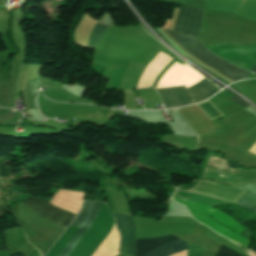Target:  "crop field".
Masks as SVG:
<instances>
[{"mask_svg":"<svg viewBox=\"0 0 256 256\" xmlns=\"http://www.w3.org/2000/svg\"><path fill=\"white\" fill-rule=\"evenodd\" d=\"M209 165L228 166L221 158L214 156ZM202 179H214L226 185L235 186L256 180V169L238 168L232 170L230 167L207 166Z\"/></svg>","mask_w":256,"mask_h":256,"instance_id":"obj_4","label":"crop field"},{"mask_svg":"<svg viewBox=\"0 0 256 256\" xmlns=\"http://www.w3.org/2000/svg\"><path fill=\"white\" fill-rule=\"evenodd\" d=\"M233 188L248 192L256 196V181L244 185L235 186ZM233 188L216 184L215 182L199 181V183L195 187L186 192H182L177 189L174 195L207 206L225 203L236 204L238 200L245 194V192ZM176 196L172 197L173 200L185 205L195 219L212 228L218 234L238 243L242 248L246 249L248 239L243 238L242 236L223 227L219 223L215 222L208 215L212 216L218 222L226 225L227 227L238 233L244 230V228L240 227L241 225L239 226L233 219L211 207L202 206L178 198ZM240 200L256 206V198L247 193ZM240 200L237 204L245 208L251 209L256 213V208L254 206L248 205Z\"/></svg>","mask_w":256,"mask_h":256,"instance_id":"obj_1","label":"crop field"},{"mask_svg":"<svg viewBox=\"0 0 256 256\" xmlns=\"http://www.w3.org/2000/svg\"><path fill=\"white\" fill-rule=\"evenodd\" d=\"M216 256H240V255L221 245Z\"/></svg>","mask_w":256,"mask_h":256,"instance_id":"obj_12","label":"crop field"},{"mask_svg":"<svg viewBox=\"0 0 256 256\" xmlns=\"http://www.w3.org/2000/svg\"><path fill=\"white\" fill-rule=\"evenodd\" d=\"M107 26L102 25L100 23H97L91 34H90V38H89V44L88 47L89 48H93L95 49L97 43L99 42L100 38L102 37L104 31L106 30Z\"/></svg>","mask_w":256,"mask_h":256,"instance_id":"obj_11","label":"crop field"},{"mask_svg":"<svg viewBox=\"0 0 256 256\" xmlns=\"http://www.w3.org/2000/svg\"><path fill=\"white\" fill-rule=\"evenodd\" d=\"M228 100L232 101L233 103L239 105L240 107H242L244 109L247 108L248 106H250V104L242 101L241 99H239V98H237L235 96L230 98V99H228Z\"/></svg>","mask_w":256,"mask_h":256,"instance_id":"obj_13","label":"crop field"},{"mask_svg":"<svg viewBox=\"0 0 256 256\" xmlns=\"http://www.w3.org/2000/svg\"><path fill=\"white\" fill-rule=\"evenodd\" d=\"M22 203L34 213L65 226L76 216L33 196L25 199Z\"/></svg>","mask_w":256,"mask_h":256,"instance_id":"obj_8","label":"crop field"},{"mask_svg":"<svg viewBox=\"0 0 256 256\" xmlns=\"http://www.w3.org/2000/svg\"><path fill=\"white\" fill-rule=\"evenodd\" d=\"M219 90L220 89L206 79L187 89L193 103L207 99ZM157 91L166 109L192 104L185 86L159 88Z\"/></svg>","mask_w":256,"mask_h":256,"instance_id":"obj_3","label":"crop field"},{"mask_svg":"<svg viewBox=\"0 0 256 256\" xmlns=\"http://www.w3.org/2000/svg\"><path fill=\"white\" fill-rule=\"evenodd\" d=\"M202 19L203 10L191 7H180L173 30L193 34L197 38Z\"/></svg>","mask_w":256,"mask_h":256,"instance_id":"obj_9","label":"crop field"},{"mask_svg":"<svg viewBox=\"0 0 256 256\" xmlns=\"http://www.w3.org/2000/svg\"><path fill=\"white\" fill-rule=\"evenodd\" d=\"M121 233L120 252L134 254L135 227L131 216L114 214ZM135 255V254H134Z\"/></svg>","mask_w":256,"mask_h":256,"instance_id":"obj_10","label":"crop field"},{"mask_svg":"<svg viewBox=\"0 0 256 256\" xmlns=\"http://www.w3.org/2000/svg\"><path fill=\"white\" fill-rule=\"evenodd\" d=\"M177 238L173 235L168 236H161L149 239H135V249H136V256H141L151 248L164 244ZM187 250V245L180 241L176 240L161 246H158L142 256H170L179 251Z\"/></svg>","mask_w":256,"mask_h":256,"instance_id":"obj_6","label":"crop field"},{"mask_svg":"<svg viewBox=\"0 0 256 256\" xmlns=\"http://www.w3.org/2000/svg\"><path fill=\"white\" fill-rule=\"evenodd\" d=\"M219 57L245 69H252L256 63V47L206 46ZM256 71V65L253 67ZM256 74V72H255Z\"/></svg>","mask_w":256,"mask_h":256,"instance_id":"obj_7","label":"crop field"},{"mask_svg":"<svg viewBox=\"0 0 256 256\" xmlns=\"http://www.w3.org/2000/svg\"><path fill=\"white\" fill-rule=\"evenodd\" d=\"M107 206L106 202L84 201L82 209L71 226L79 228L57 256H67L81 237Z\"/></svg>","mask_w":256,"mask_h":256,"instance_id":"obj_5","label":"crop field"},{"mask_svg":"<svg viewBox=\"0 0 256 256\" xmlns=\"http://www.w3.org/2000/svg\"><path fill=\"white\" fill-rule=\"evenodd\" d=\"M164 32L185 52L200 61L204 65L210 67L216 72L229 78L233 82L247 79L250 72L232 66L217 57L213 56L207 49L199 44L194 37L171 31Z\"/></svg>","mask_w":256,"mask_h":256,"instance_id":"obj_2","label":"crop field"}]
</instances>
